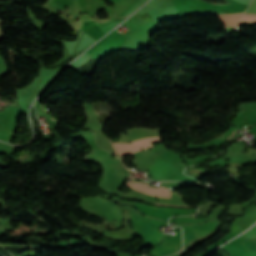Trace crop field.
<instances>
[{
  "instance_id": "crop-field-3",
  "label": "crop field",
  "mask_w": 256,
  "mask_h": 256,
  "mask_svg": "<svg viewBox=\"0 0 256 256\" xmlns=\"http://www.w3.org/2000/svg\"><path fill=\"white\" fill-rule=\"evenodd\" d=\"M96 136H97V144L99 147L108 150L109 152H114L115 150L111 146L109 139H107L104 135V131H95Z\"/></svg>"
},
{
  "instance_id": "crop-field-4",
  "label": "crop field",
  "mask_w": 256,
  "mask_h": 256,
  "mask_svg": "<svg viewBox=\"0 0 256 256\" xmlns=\"http://www.w3.org/2000/svg\"><path fill=\"white\" fill-rule=\"evenodd\" d=\"M235 132H236V130L227 138V140L230 139L231 136H232Z\"/></svg>"
},
{
  "instance_id": "crop-field-2",
  "label": "crop field",
  "mask_w": 256,
  "mask_h": 256,
  "mask_svg": "<svg viewBox=\"0 0 256 256\" xmlns=\"http://www.w3.org/2000/svg\"><path fill=\"white\" fill-rule=\"evenodd\" d=\"M126 185L138 191L156 196L158 198H163V199H167L169 195L172 193V192H168L169 190H166L160 187L159 188L148 187L149 184H146V183L127 182ZM157 203H170V202H157ZM172 204L185 205L184 203H172ZM157 205H171V204H157ZM179 205H172V206H179ZM179 207H188V206H179Z\"/></svg>"
},
{
  "instance_id": "crop-field-1",
  "label": "crop field",
  "mask_w": 256,
  "mask_h": 256,
  "mask_svg": "<svg viewBox=\"0 0 256 256\" xmlns=\"http://www.w3.org/2000/svg\"><path fill=\"white\" fill-rule=\"evenodd\" d=\"M160 141V137H149L135 142L127 143H114L113 147L119 155H127L138 150L152 147V142Z\"/></svg>"
}]
</instances>
